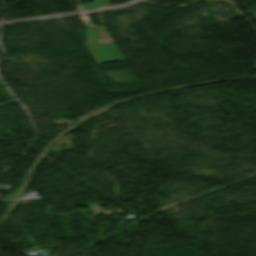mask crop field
<instances>
[{"mask_svg": "<svg viewBox=\"0 0 256 256\" xmlns=\"http://www.w3.org/2000/svg\"><path fill=\"white\" fill-rule=\"evenodd\" d=\"M106 0H94L93 3L89 4H82L80 5L81 12L86 10H93V9H99L102 7H106Z\"/></svg>", "mask_w": 256, "mask_h": 256, "instance_id": "crop-field-2", "label": "crop field"}, {"mask_svg": "<svg viewBox=\"0 0 256 256\" xmlns=\"http://www.w3.org/2000/svg\"><path fill=\"white\" fill-rule=\"evenodd\" d=\"M88 47L98 62L122 59L103 27L90 28Z\"/></svg>", "mask_w": 256, "mask_h": 256, "instance_id": "crop-field-1", "label": "crop field"}, {"mask_svg": "<svg viewBox=\"0 0 256 256\" xmlns=\"http://www.w3.org/2000/svg\"><path fill=\"white\" fill-rule=\"evenodd\" d=\"M253 16L256 18V14H253ZM256 67V66H255Z\"/></svg>", "mask_w": 256, "mask_h": 256, "instance_id": "crop-field-3", "label": "crop field"}]
</instances>
